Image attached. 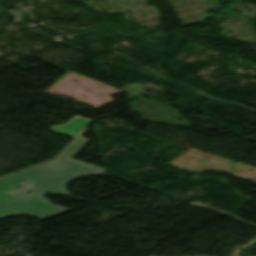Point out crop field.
I'll use <instances>...</instances> for the list:
<instances>
[{"label":"crop field","mask_w":256,"mask_h":256,"mask_svg":"<svg viewBox=\"0 0 256 256\" xmlns=\"http://www.w3.org/2000/svg\"><path fill=\"white\" fill-rule=\"evenodd\" d=\"M90 122L91 120L76 116L68 123L66 122L67 124L53 126L49 130L76 138Z\"/></svg>","instance_id":"ac0d7876"},{"label":"crop field","mask_w":256,"mask_h":256,"mask_svg":"<svg viewBox=\"0 0 256 256\" xmlns=\"http://www.w3.org/2000/svg\"><path fill=\"white\" fill-rule=\"evenodd\" d=\"M87 130L76 139L59 160L0 180V218L25 214L47 219L71 210L56 206L43 196L46 192H50L72 197L66 191L65 185L68 181L87 174H105L103 168L72 159L88 142L82 138ZM23 183L30 184V187L24 190L15 188ZM32 189L34 191L27 195L26 193Z\"/></svg>","instance_id":"8a807250"}]
</instances>
